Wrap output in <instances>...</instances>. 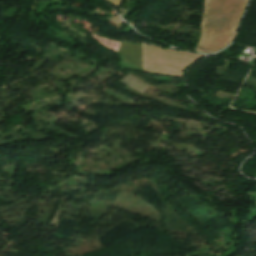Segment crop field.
Returning <instances> with one entry per match:
<instances>
[{"instance_id":"crop-field-2","label":"crop field","mask_w":256,"mask_h":256,"mask_svg":"<svg viewBox=\"0 0 256 256\" xmlns=\"http://www.w3.org/2000/svg\"><path fill=\"white\" fill-rule=\"evenodd\" d=\"M106 1L112 3V4L116 5V6H119V4L121 2V0H106Z\"/></svg>"},{"instance_id":"crop-field-1","label":"crop field","mask_w":256,"mask_h":256,"mask_svg":"<svg viewBox=\"0 0 256 256\" xmlns=\"http://www.w3.org/2000/svg\"><path fill=\"white\" fill-rule=\"evenodd\" d=\"M248 0H205L200 42L196 51L215 52L233 38Z\"/></svg>"}]
</instances>
